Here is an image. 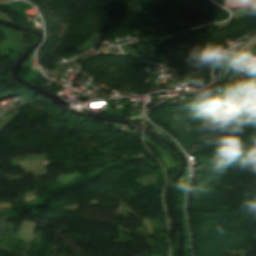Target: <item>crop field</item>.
I'll return each instance as SVG.
<instances>
[{
	"instance_id": "obj_1",
	"label": "crop field",
	"mask_w": 256,
	"mask_h": 256,
	"mask_svg": "<svg viewBox=\"0 0 256 256\" xmlns=\"http://www.w3.org/2000/svg\"><path fill=\"white\" fill-rule=\"evenodd\" d=\"M251 5V10L256 9V0H225L224 6L227 8L246 7Z\"/></svg>"
},
{
	"instance_id": "obj_2",
	"label": "crop field",
	"mask_w": 256,
	"mask_h": 256,
	"mask_svg": "<svg viewBox=\"0 0 256 256\" xmlns=\"http://www.w3.org/2000/svg\"><path fill=\"white\" fill-rule=\"evenodd\" d=\"M0 1H7V0H0Z\"/></svg>"
}]
</instances>
